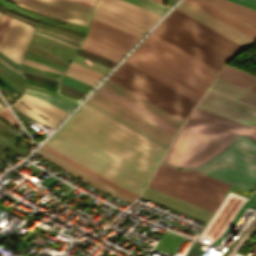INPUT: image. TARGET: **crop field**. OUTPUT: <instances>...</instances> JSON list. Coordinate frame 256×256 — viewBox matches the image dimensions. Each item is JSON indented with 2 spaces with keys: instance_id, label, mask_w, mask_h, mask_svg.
<instances>
[{
  "instance_id": "crop-field-24",
  "label": "crop field",
  "mask_w": 256,
  "mask_h": 256,
  "mask_svg": "<svg viewBox=\"0 0 256 256\" xmlns=\"http://www.w3.org/2000/svg\"><path fill=\"white\" fill-rule=\"evenodd\" d=\"M81 48L96 53L115 62L119 61L125 55V52L121 50L115 49L87 37L83 41Z\"/></svg>"
},
{
  "instance_id": "crop-field-34",
  "label": "crop field",
  "mask_w": 256,
  "mask_h": 256,
  "mask_svg": "<svg viewBox=\"0 0 256 256\" xmlns=\"http://www.w3.org/2000/svg\"><path fill=\"white\" fill-rule=\"evenodd\" d=\"M22 73H23V72H22ZM24 74H27V73H24ZM24 74H23V75H24ZM28 75H30V74H28ZM28 75H25V76H28ZM25 76H24V77H25ZM31 76H34V75H31ZM31 76H29V77H31ZM29 77H25V78H29ZM34 77H37V76H34ZM34 77H32V78H34ZM32 78H29V79H32ZM38 78H40V77H38ZM38 78H36V79H38ZM36 79H32V80H36ZM41 79H44V78H41ZM41 79H39V80H41ZM39 80H36V81H39ZM44 80H47V79H44ZM44 80H43V81H44ZM25 81H26V80H25ZM43 81H39V82H43ZM48 81H51V80H48ZM48 81H46V82H48ZM26 82L57 91V89H53V88H50V87H47V86H43V85H40V84H36V83L30 82V81H26ZM46 82H43V83H46ZM51 82H54V81H51ZM51 82H50V83H51ZM27 83H26V84H27ZM50 83H46V84H50ZM54 83H58V82H54ZM54 83H53V84H54ZM31 84H27V85H31ZM53 84H50V85H53ZM58 84H59V83H58ZM58 84H57V85H58ZM34 85H31V86H34ZM57 85H53V86H57ZM38 86H34V87H38ZM57 87H58V86H57ZM38 88H41V87H38ZM45 88H42V89H45ZM49 89H45V90H49ZM52 90H49V91H52ZM56 91H52V92H56ZM56 93H57V92H56Z\"/></svg>"
},
{
  "instance_id": "crop-field-33",
  "label": "crop field",
  "mask_w": 256,
  "mask_h": 256,
  "mask_svg": "<svg viewBox=\"0 0 256 256\" xmlns=\"http://www.w3.org/2000/svg\"><path fill=\"white\" fill-rule=\"evenodd\" d=\"M0 118H2L4 121H6L10 125L14 124L15 126H17L20 129L19 125L17 124L15 119L12 117V115L10 114L8 109H5L0 112Z\"/></svg>"
},
{
  "instance_id": "crop-field-39",
  "label": "crop field",
  "mask_w": 256,
  "mask_h": 256,
  "mask_svg": "<svg viewBox=\"0 0 256 256\" xmlns=\"http://www.w3.org/2000/svg\"><path fill=\"white\" fill-rule=\"evenodd\" d=\"M69 1H73V2H76V3H80V4L92 6V7L94 5L93 2H89V1H85V0H69Z\"/></svg>"
},
{
  "instance_id": "crop-field-23",
  "label": "crop field",
  "mask_w": 256,
  "mask_h": 256,
  "mask_svg": "<svg viewBox=\"0 0 256 256\" xmlns=\"http://www.w3.org/2000/svg\"><path fill=\"white\" fill-rule=\"evenodd\" d=\"M42 147H43V149L49 151L50 153L56 155L57 157L63 159L64 161L70 163L71 165H73V166L79 168L80 170H82V171L86 172L87 174L93 176L94 178L100 180L101 182H103V183H105V184H107V185H109V186H111V187H113V188L118 189V190H119V191H118L119 193H121V194H123V195H125V196H127V197H129V198H131V199H133V200H135V199L138 197V195H136V194H134V193H132V192H130V191H128V190H126V189H124V188H122V187L116 185V184H114L113 182H111V181L105 179L104 177L98 175L97 173L91 171L90 169H88V168L82 166L81 164L75 162L74 160L68 158L67 156L61 154L60 152H58V151L52 149L51 147H49V146H47V145H45V144H44Z\"/></svg>"
},
{
  "instance_id": "crop-field-43",
  "label": "crop field",
  "mask_w": 256,
  "mask_h": 256,
  "mask_svg": "<svg viewBox=\"0 0 256 256\" xmlns=\"http://www.w3.org/2000/svg\"><path fill=\"white\" fill-rule=\"evenodd\" d=\"M153 1H156V2H158V3H161V2L164 1V0H153Z\"/></svg>"
},
{
  "instance_id": "crop-field-25",
  "label": "crop field",
  "mask_w": 256,
  "mask_h": 256,
  "mask_svg": "<svg viewBox=\"0 0 256 256\" xmlns=\"http://www.w3.org/2000/svg\"><path fill=\"white\" fill-rule=\"evenodd\" d=\"M219 77L224 78L233 83H236L245 88H247L256 79V76L242 72L229 65L225 66V68L219 74Z\"/></svg>"
},
{
  "instance_id": "crop-field-42",
  "label": "crop field",
  "mask_w": 256,
  "mask_h": 256,
  "mask_svg": "<svg viewBox=\"0 0 256 256\" xmlns=\"http://www.w3.org/2000/svg\"><path fill=\"white\" fill-rule=\"evenodd\" d=\"M0 62H2L4 65L8 66L9 68L19 72L18 70L14 69L13 67H11L10 65L6 64L5 62H3L1 59H0ZM20 73V72H19Z\"/></svg>"
},
{
  "instance_id": "crop-field-41",
  "label": "crop field",
  "mask_w": 256,
  "mask_h": 256,
  "mask_svg": "<svg viewBox=\"0 0 256 256\" xmlns=\"http://www.w3.org/2000/svg\"><path fill=\"white\" fill-rule=\"evenodd\" d=\"M23 65V64H22ZM21 65V66H22ZM26 66H28V65H26ZM26 66H22V67H26ZM29 67H32V66H29ZM29 67H26V68H29ZM33 68H36V67H33ZM33 68H30V69H33ZM36 69H39V68H36ZM36 69H33V70H36ZM40 70H42L43 72H47V73H51V74H54V73H52V72H49V71H46V70H43V69H40ZM40 70H37V71H40ZM55 75H57V74H55ZM60 76V75H59Z\"/></svg>"
},
{
  "instance_id": "crop-field-5",
  "label": "crop field",
  "mask_w": 256,
  "mask_h": 256,
  "mask_svg": "<svg viewBox=\"0 0 256 256\" xmlns=\"http://www.w3.org/2000/svg\"><path fill=\"white\" fill-rule=\"evenodd\" d=\"M195 170L250 192L256 187V143L235 136L229 148Z\"/></svg>"
},
{
  "instance_id": "crop-field-20",
  "label": "crop field",
  "mask_w": 256,
  "mask_h": 256,
  "mask_svg": "<svg viewBox=\"0 0 256 256\" xmlns=\"http://www.w3.org/2000/svg\"><path fill=\"white\" fill-rule=\"evenodd\" d=\"M98 92L102 93L103 95L109 97L110 99L116 101L117 103L123 105L124 107L139 114L140 116L146 118L147 120L153 122L154 124L160 126L161 128L167 130L174 135L179 129L102 85L98 88Z\"/></svg>"
},
{
  "instance_id": "crop-field-31",
  "label": "crop field",
  "mask_w": 256,
  "mask_h": 256,
  "mask_svg": "<svg viewBox=\"0 0 256 256\" xmlns=\"http://www.w3.org/2000/svg\"><path fill=\"white\" fill-rule=\"evenodd\" d=\"M243 102L256 106V92L247 89L239 98Z\"/></svg>"
},
{
  "instance_id": "crop-field-29",
  "label": "crop field",
  "mask_w": 256,
  "mask_h": 256,
  "mask_svg": "<svg viewBox=\"0 0 256 256\" xmlns=\"http://www.w3.org/2000/svg\"><path fill=\"white\" fill-rule=\"evenodd\" d=\"M160 15H163L169 8L151 0H125Z\"/></svg>"
},
{
  "instance_id": "crop-field-9",
  "label": "crop field",
  "mask_w": 256,
  "mask_h": 256,
  "mask_svg": "<svg viewBox=\"0 0 256 256\" xmlns=\"http://www.w3.org/2000/svg\"><path fill=\"white\" fill-rule=\"evenodd\" d=\"M184 127L231 142L234 135H244L256 142V124L249 127L195 108Z\"/></svg>"
},
{
  "instance_id": "crop-field-4",
  "label": "crop field",
  "mask_w": 256,
  "mask_h": 256,
  "mask_svg": "<svg viewBox=\"0 0 256 256\" xmlns=\"http://www.w3.org/2000/svg\"><path fill=\"white\" fill-rule=\"evenodd\" d=\"M148 186L214 213L231 185L194 171L160 162Z\"/></svg>"
},
{
  "instance_id": "crop-field-18",
  "label": "crop field",
  "mask_w": 256,
  "mask_h": 256,
  "mask_svg": "<svg viewBox=\"0 0 256 256\" xmlns=\"http://www.w3.org/2000/svg\"><path fill=\"white\" fill-rule=\"evenodd\" d=\"M36 153H38L39 155L43 156L44 158H46L47 160L53 162L54 164L58 165L59 167L65 169L66 171L70 172L71 174L77 176L78 178L82 179L84 182L126 202V203H131L133 202V200L117 193L115 189L101 183L100 181L94 179L93 177L87 175L86 173L80 171L79 169L71 166L70 164L64 162L63 160L57 158L56 156L50 154L49 152L43 150V149H39Z\"/></svg>"
},
{
  "instance_id": "crop-field-36",
  "label": "crop field",
  "mask_w": 256,
  "mask_h": 256,
  "mask_svg": "<svg viewBox=\"0 0 256 256\" xmlns=\"http://www.w3.org/2000/svg\"><path fill=\"white\" fill-rule=\"evenodd\" d=\"M22 60L25 61V62H27V63H30V64H34V65H38V66H43V67H46V68H48V69L55 70V71H58V72H61V73H62V71H60V70L54 69V68H52V67L46 66V65L41 64V63H37V62L31 61V60H27V59H24V58H23ZM23 61H22L23 64H27V63H25V62H23ZM30 64H28V65H30ZM34 65H32V66H34ZM38 66H36V67H38ZM39 68H41V67H39ZM43 69H45V68H43ZM48 69H46V70H48ZM51 70H49V71H51ZM52 72H54V71H52ZM58 72H54V73H57V74H60V75H61V73H58Z\"/></svg>"
},
{
  "instance_id": "crop-field-8",
  "label": "crop field",
  "mask_w": 256,
  "mask_h": 256,
  "mask_svg": "<svg viewBox=\"0 0 256 256\" xmlns=\"http://www.w3.org/2000/svg\"><path fill=\"white\" fill-rule=\"evenodd\" d=\"M159 17L122 0H98L92 18L141 37Z\"/></svg>"
},
{
  "instance_id": "crop-field-46",
  "label": "crop field",
  "mask_w": 256,
  "mask_h": 256,
  "mask_svg": "<svg viewBox=\"0 0 256 256\" xmlns=\"http://www.w3.org/2000/svg\"><path fill=\"white\" fill-rule=\"evenodd\" d=\"M90 1H93V2H94L95 0H90Z\"/></svg>"
},
{
  "instance_id": "crop-field-47",
  "label": "crop field",
  "mask_w": 256,
  "mask_h": 256,
  "mask_svg": "<svg viewBox=\"0 0 256 256\" xmlns=\"http://www.w3.org/2000/svg\"><path fill=\"white\" fill-rule=\"evenodd\" d=\"M0 14H1V12H0Z\"/></svg>"
},
{
  "instance_id": "crop-field-37",
  "label": "crop field",
  "mask_w": 256,
  "mask_h": 256,
  "mask_svg": "<svg viewBox=\"0 0 256 256\" xmlns=\"http://www.w3.org/2000/svg\"><path fill=\"white\" fill-rule=\"evenodd\" d=\"M42 25H45V26H48V27L56 29V27L52 26V25H48V24H44V23H42ZM57 29L58 30L68 31V32L74 33V34L82 36V37H84V35H85V32H81V31H77V30H73V29H69V28L65 29V28L57 27Z\"/></svg>"
},
{
  "instance_id": "crop-field-6",
  "label": "crop field",
  "mask_w": 256,
  "mask_h": 256,
  "mask_svg": "<svg viewBox=\"0 0 256 256\" xmlns=\"http://www.w3.org/2000/svg\"><path fill=\"white\" fill-rule=\"evenodd\" d=\"M109 78L182 120L197 103L124 62Z\"/></svg>"
},
{
  "instance_id": "crop-field-28",
  "label": "crop field",
  "mask_w": 256,
  "mask_h": 256,
  "mask_svg": "<svg viewBox=\"0 0 256 256\" xmlns=\"http://www.w3.org/2000/svg\"><path fill=\"white\" fill-rule=\"evenodd\" d=\"M25 94H28L30 96H33V97L42 99L44 101H47V102L57 106L58 108L66 111V112L67 111L70 112L75 107V105L70 104L68 102H65L61 99H58V98L53 97V96L45 95V94H42V93H38V92H35V91H31V90L26 89Z\"/></svg>"
},
{
  "instance_id": "crop-field-45",
  "label": "crop field",
  "mask_w": 256,
  "mask_h": 256,
  "mask_svg": "<svg viewBox=\"0 0 256 256\" xmlns=\"http://www.w3.org/2000/svg\"><path fill=\"white\" fill-rule=\"evenodd\" d=\"M4 109L1 105H0V110Z\"/></svg>"
},
{
  "instance_id": "crop-field-26",
  "label": "crop field",
  "mask_w": 256,
  "mask_h": 256,
  "mask_svg": "<svg viewBox=\"0 0 256 256\" xmlns=\"http://www.w3.org/2000/svg\"><path fill=\"white\" fill-rule=\"evenodd\" d=\"M85 104H87V105L93 107L94 109H96V110L100 111L101 113H103V114L109 116L110 118L116 120L117 122H119V123L125 125L126 127L130 128V129H132V130H134L135 132H137V133L141 134L142 136H144V137L150 139L151 141L157 143L158 145H160V146H162V147H164V148H167L168 145H166V144L162 143L161 141L155 139L154 137H152V136L146 134L145 132L139 130L138 128H136V127H134V126H132L131 124L125 122L124 120L118 118L117 116L111 114L110 112H108V111L102 109L101 107L95 105L94 103H92V102H90V101L87 100V102H86Z\"/></svg>"
},
{
  "instance_id": "crop-field-30",
  "label": "crop field",
  "mask_w": 256,
  "mask_h": 256,
  "mask_svg": "<svg viewBox=\"0 0 256 256\" xmlns=\"http://www.w3.org/2000/svg\"><path fill=\"white\" fill-rule=\"evenodd\" d=\"M65 75L70 76L72 78H75L77 80H80L82 82H85L87 84H90L92 86H94L96 84V82L98 81V79L91 77L89 75H86L82 72H79L77 70H74L70 67H68L67 71L65 72Z\"/></svg>"
},
{
  "instance_id": "crop-field-13",
  "label": "crop field",
  "mask_w": 256,
  "mask_h": 256,
  "mask_svg": "<svg viewBox=\"0 0 256 256\" xmlns=\"http://www.w3.org/2000/svg\"><path fill=\"white\" fill-rule=\"evenodd\" d=\"M175 9L183 12L184 14L192 17L193 19L201 22L202 24L210 27L211 29L219 32L220 34L228 37L229 39L246 48L256 43V40L250 38L249 36L243 34L242 32L234 29L233 27L225 24L224 22L218 20L217 18L209 15L208 13L200 10L199 8L184 0Z\"/></svg>"
},
{
  "instance_id": "crop-field-16",
  "label": "crop field",
  "mask_w": 256,
  "mask_h": 256,
  "mask_svg": "<svg viewBox=\"0 0 256 256\" xmlns=\"http://www.w3.org/2000/svg\"><path fill=\"white\" fill-rule=\"evenodd\" d=\"M20 102L34 110L35 112L41 114L42 116L46 117L48 120H45L41 118L39 115H37L34 111L31 112L27 108H25L23 105H21ZM19 110L23 111L30 117L36 119L40 123L50 127L54 128L66 115L67 113L58 109L57 107L44 102L42 100L30 97L28 95L23 94V96L13 105Z\"/></svg>"
},
{
  "instance_id": "crop-field-21",
  "label": "crop field",
  "mask_w": 256,
  "mask_h": 256,
  "mask_svg": "<svg viewBox=\"0 0 256 256\" xmlns=\"http://www.w3.org/2000/svg\"><path fill=\"white\" fill-rule=\"evenodd\" d=\"M229 14L237 17L245 23L256 28V10L247 8L245 6L236 4L228 0H206ZM249 89L256 91V82L253 83Z\"/></svg>"
},
{
  "instance_id": "crop-field-35",
  "label": "crop field",
  "mask_w": 256,
  "mask_h": 256,
  "mask_svg": "<svg viewBox=\"0 0 256 256\" xmlns=\"http://www.w3.org/2000/svg\"><path fill=\"white\" fill-rule=\"evenodd\" d=\"M10 19H11V16L6 15L4 13L2 14V16L0 18V39H1L6 27L8 25Z\"/></svg>"
},
{
  "instance_id": "crop-field-14",
  "label": "crop field",
  "mask_w": 256,
  "mask_h": 256,
  "mask_svg": "<svg viewBox=\"0 0 256 256\" xmlns=\"http://www.w3.org/2000/svg\"><path fill=\"white\" fill-rule=\"evenodd\" d=\"M33 31V26L12 18L0 41V52L19 64L20 56Z\"/></svg>"
},
{
  "instance_id": "crop-field-3",
  "label": "crop field",
  "mask_w": 256,
  "mask_h": 256,
  "mask_svg": "<svg viewBox=\"0 0 256 256\" xmlns=\"http://www.w3.org/2000/svg\"><path fill=\"white\" fill-rule=\"evenodd\" d=\"M151 33L219 71L246 49L175 9Z\"/></svg>"
},
{
  "instance_id": "crop-field-17",
  "label": "crop field",
  "mask_w": 256,
  "mask_h": 256,
  "mask_svg": "<svg viewBox=\"0 0 256 256\" xmlns=\"http://www.w3.org/2000/svg\"><path fill=\"white\" fill-rule=\"evenodd\" d=\"M155 203L206 223L211 213L146 186L142 196Z\"/></svg>"
},
{
  "instance_id": "crop-field-15",
  "label": "crop field",
  "mask_w": 256,
  "mask_h": 256,
  "mask_svg": "<svg viewBox=\"0 0 256 256\" xmlns=\"http://www.w3.org/2000/svg\"><path fill=\"white\" fill-rule=\"evenodd\" d=\"M87 37L108 44L123 51H128L139 37L92 20ZM132 48V47H131Z\"/></svg>"
},
{
  "instance_id": "crop-field-1",
  "label": "crop field",
  "mask_w": 256,
  "mask_h": 256,
  "mask_svg": "<svg viewBox=\"0 0 256 256\" xmlns=\"http://www.w3.org/2000/svg\"><path fill=\"white\" fill-rule=\"evenodd\" d=\"M45 144L140 195L164 148L83 105Z\"/></svg>"
},
{
  "instance_id": "crop-field-10",
  "label": "crop field",
  "mask_w": 256,
  "mask_h": 256,
  "mask_svg": "<svg viewBox=\"0 0 256 256\" xmlns=\"http://www.w3.org/2000/svg\"><path fill=\"white\" fill-rule=\"evenodd\" d=\"M53 18L89 25L92 7L65 0H8Z\"/></svg>"
},
{
  "instance_id": "crop-field-27",
  "label": "crop field",
  "mask_w": 256,
  "mask_h": 256,
  "mask_svg": "<svg viewBox=\"0 0 256 256\" xmlns=\"http://www.w3.org/2000/svg\"><path fill=\"white\" fill-rule=\"evenodd\" d=\"M211 88L222 91L224 93L230 94L232 96L237 97L240 93H242L245 88L240 87L236 84L228 82L224 79L217 77L214 83L211 85Z\"/></svg>"
},
{
  "instance_id": "crop-field-7",
  "label": "crop field",
  "mask_w": 256,
  "mask_h": 256,
  "mask_svg": "<svg viewBox=\"0 0 256 256\" xmlns=\"http://www.w3.org/2000/svg\"><path fill=\"white\" fill-rule=\"evenodd\" d=\"M228 145L229 142L182 127L162 160L181 168L196 167Z\"/></svg>"
},
{
  "instance_id": "crop-field-19",
  "label": "crop field",
  "mask_w": 256,
  "mask_h": 256,
  "mask_svg": "<svg viewBox=\"0 0 256 256\" xmlns=\"http://www.w3.org/2000/svg\"><path fill=\"white\" fill-rule=\"evenodd\" d=\"M102 85L108 87L109 89L117 92L118 94L124 96L125 98L133 101L134 103L140 105L141 107L147 109L148 111L156 114L157 116L163 118L164 120L172 123L173 125L180 128L184 121L178 119L177 117L169 114L168 112L162 110L161 108L155 106L154 104L146 101L145 99L139 97L138 95L132 93L131 91L125 89L124 87L116 84L115 82L107 79Z\"/></svg>"
},
{
  "instance_id": "crop-field-12",
  "label": "crop field",
  "mask_w": 256,
  "mask_h": 256,
  "mask_svg": "<svg viewBox=\"0 0 256 256\" xmlns=\"http://www.w3.org/2000/svg\"><path fill=\"white\" fill-rule=\"evenodd\" d=\"M88 100L110 111L111 113L117 115L118 117L124 119L125 121L131 123L132 125L138 127L139 129L145 131L146 133L154 136L155 138L161 140L168 145L174 136L167 131L159 128L158 126L152 124L151 122L143 119L142 117L136 115L135 113L129 111L128 109L113 102L112 100L97 93L96 91Z\"/></svg>"
},
{
  "instance_id": "crop-field-40",
  "label": "crop field",
  "mask_w": 256,
  "mask_h": 256,
  "mask_svg": "<svg viewBox=\"0 0 256 256\" xmlns=\"http://www.w3.org/2000/svg\"><path fill=\"white\" fill-rule=\"evenodd\" d=\"M38 30H41V29L38 28ZM44 30H45V29H44ZM44 30H42V31H44ZM48 31H49V30H48ZM48 31H46V32H48ZM49 33H52V32H49ZM54 33H56V32H54ZM54 33H52V34H54ZM58 34H59V33H58ZM58 34H55V35H58ZM62 35H63V34H62ZM58 36H61V35H58ZM64 36H66V35H64ZM61 37H63V36H61ZM66 37H69V36H66ZM66 37H63V38H66ZM69 38H72V37H69ZM69 38H66V39L71 40V41L76 42V43L79 44V42L75 41V40H77V39L72 40V39H74V38H72V39H69ZM78 41H80V40H78Z\"/></svg>"
},
{
  "instance_id": "crop-field-32",
  "label": "crop field",
  "mask_w": 256,
  "mask_h": 256,
  "mask_svg": "<svg viewBox=\"0 0 256 256\" xmlns=\"http://www.w3.org/2000/svg\"><path fill=\"white\" fill-rule=\"evenodd\" d=\"M70 67H72V68H74V69H77V70H79V71H82V72H84V73H86V74H89V75H91V76H94V77H96V78H98V79H100V78L103 76V74H101V73H98V72H96V71L90 70V69H88V68H85V67H83V66H80V65H78V64H75V63H73V62H71Z\"/></svg>"
},
{
  "instance_id": "crop-field-44",
  "label": "crop field",
  "mask_w": 256,
  "mask_h": 256,
  "mask_svg": "<svg viewBox=\"0 0 256 256\" xmlns=\"http://www.w3.org/2000/svg\"><path fill=\"white\" fill-rule=\"evenodd\" d=\"M46 37V36H45ZM49 38V37H48ZM51 39V38H50ZM54 40V39H53ZM56 41V40H55ZM59 42V41H58ZM60 43H62V42H60ZM64 44V43H63ZM65 45H67V44H65ZM68 46H70V45H68ZM70 47H73V46H70ZM73 48H75L76 49V47H73Z\"/></svg>"
},
{
  "instance_id": "crop-field-11",
  "label": "crop field",
  "mask_w": 256,
  "mask_h": 256,
  "mask_svg": "<svg viewBox=\"0 0 256 256\" xmlns=\"http://www.w3.org/2000/svg\"><path fill=\"white\" fill-rule=\"evenodd\" d=\"M197 108L249 126L256 123V108L234 101L211 90H208Z\"/></svg>"
},
{
  "instance_id": "crop-field-2",
  "label": "crop field",
  "mask_w": 256,
  "mask_h": 256,
  "mask_svg": "<svg viewBox=\"0 0 256 256\" xmlns=\"http://www.w3.org/2000/svg\"><path fill=\"white\" fill-rule=\"evenodd\" d=\"M124 62L197 102L219 72L151 33Z\"/></svg>"
},
{
  "instance_id": "crop-field-38",
  "label": "crop field",
  "mask_w": 256,
  "mask_h": 256,
  "mask_svg": "<svg viewBox=\"0 0 256 256\" xmlns=\"http://www.w3.org/2000/svg\"><path fill=\"white\" fill-rule=\"evenodd\" d=\"M231 1L256 9V0H231Z\"/></svg>"
},
{
  "instance_id": "crop-field-22",
  "label": "crop field",
  "mask_w": 256,
  "mask_h": 256,
  "mask_svg": "<svg viewBox=\"0 0 256 256\" xmlns=\"http://www.w3.org/2000/svg\"><path fill=\"white\" fill-rule=\"evenodd\" d=\"M193 5L199 7L200 9L208 12L209 14L217 17L218 19L224 21L225 23L233 26L234 28L242 31L243 33L249 35L250 37L256 39V30L249 27L248 25L242 23L241 21L233 18L232 16L224 13L223 11L215 8L214 6L208 4L203 0H186Z\"/></svg>"
}]
</instances>
